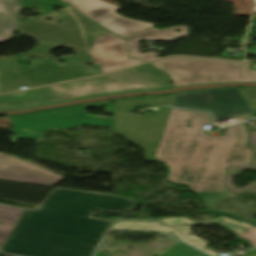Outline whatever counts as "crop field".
Masks as SVG:
<instances>
[{"mask_svg":"<svg viewBox=\"0 0 256 256\" xmlns=\"http://www.w3.org/2000/svg\"><path fill=\"white\" fill-rule=\"evenodd\" d=\"M209 121V114L172 108L154 157L167 165L168 180L189 185L209 212L256 225L254 219L215 208L229 196L224 185L226 167L251 163L253 152L245 148L246 127H226L223 136H209L203 129Z\"/></svg>","mask_w":256,"mask_h":256,"instance_id":"1","label":"crop field"},{"mask_svg":"<svg viewBox=\"0 0 256 256\" xmlns=\"http://www.w3.org/2000/svg\"><path fill=\"white\" fill-rule=\"evenodd\" d=\"M134 203L109 194L56 188L39 210L25 209L0 252L92 256L111 222L87 216L95 209H128Z\"/></svg>","mask_w":256,"mask_h":256,"instance_id":"2","label":"crop field"},{"mask_svg":"<svg viewBox=\"0 0 256 256\" xmlns=\"http://www.w3.org/2000/svg\"><path fill=\"white\" fill-rule=\"evenodd\" d=\"M69 84L67 87L57 84L0 96V109L36 107L105 93L172 88L164 74L147 64Z\"/></svg>","mask_w":256,"mask_h":256,"instance_id":"3","label":"crop field"},{"mask_svg":"<svg viewBox=\"0 0 256 256\" xmlns=\"http://www.w3.org/2000/svg\"><path fill=\"white\" fill-rule=\"evenodd\" d=\"M34 40L42 44L30 52L16 57H2V62H0L1 93L17 90L19 86H27L30 88L47 83L101 74V71L86 69L84 67V53L79 51L76 52L75 61H67L66 66H57L49 51L59 46L36 39ZM24 55L45 59L43 63H35L33 68L17 66L15 58ZM87 71L90 72L87 73Z\"/></svg>","mask_w":256,"mask_h":256,"instance_id":"4","label":"crop field"},{"mask_svg":"<svg viewBox=\"0 0 256 256\" xmlns=\"http://www.w3.org/2000/svg\"><path fill=\"white\" fill-rule=\"evenodd\" d=\"M251 63L174 57L150 63L168 73L175 87L200 83L256 82Z\"/></svg>","mask_w":256,"mask_h":256,"instance_id":"5","label":"crop field"},{"mask_svg":"<svg viewBox=\"0 0 256 256\" xmlns=\"http://www.w3.org/2000/svg\"><path fill=\"white\" fill-rule=\"evenodd\" d=\"M47 17L52 20H44ZM59 21L65 24L58 25ZM17 33L88 53L97 35L108 31L79 15L70 6L61 12H54L20 25Z\"/></svg>","mask_w":256,"mask_h":256,"instance_id":"6","label":"crop field"},{"mask_svg":"<svg viewBox=\"0 0 256 256\" xmlns=\"http://www.w3.org/2000/svg\"><path fill=\"white\" fill-rule=\"evenodd\" d=\"M175 94L150 96L146 99L128 98L114 100L115 133L143 146L148 157L154 160V152L159 142L170 107H159V112L145 116L131 117L128 113L141 105H171Z\"/></svg>","mask_w":256,"mask_h":256,"instance_id":"7","label":"crop field"},{"mask_svg":"<svg viewBox=\"0 0 256 256\" xmlns=\"http://www.w3.org/2000/svg\"><path fill=\"white\" fill-rule=\"evenodd\" d=\"M108 105V112L113 111V102L77 105L42 111L33 114L9 116L15 133H21L22 136H13L12 138H42V131L54 128H74L82 124L113 127L114 118H103L87 115L85 107ZM72 113V115H69ZM34 128V126H37ZM42 127V128H40Z\"/></svg>","mask_w":256,"mask_h":256,"instance_id":"8","label":"crop field"},{"mask_svg":"<svg viewBox=\"0 0 256 256\" xmlns=\"http://www.w3.org/2000/svg\"><path fill=\"white\" fill-rule=\"evenodd\" d=\"M174 106L207 111L213 114V121L242 116H255L238 88H216L183 92L177 95Z\"/></svg>","mask_w":256,"mask_h":256,"instance_id":"9","label":"crop field"},{"mask_svg":"<svg viewBox=\"0 0 256 256\" xmlns=\"http://www.w3.org/2000/svg\"><path fill=\"white\" fill-rule=\"evenodd\" d=\"M71 3L83 15L106 27L121 37H126L156 25L125 18L116 13L122 9L100 0H63Z\"/></svg>","mask_w":256,"mask_h":256,"instance_id":"10","label":"crop field"},{"mask_svg":"<svg viewBox=\"0 0 256 256\" xmlns=\"http://www.w3.org/2000/svg\"><path fill=\"white\" fill-rule=\"evenodd\" d=\"M125 39L111 33L100 35L95 40L90 55L105 73L143 63L142 59H129Z\"/></svg>","mask_w":256,"mask_h":256,"instance_id":"11","label":"crop field"},{"mask_svg":"<svg viewBox=\"0 0 256 256\" xmlns=\"http://www.w3.org/2000/svg\"><path fill=\"white\" fill-rule=\"evenodd\" d=\"M0 179L52 186L63 177L29 162L0 153Z\"/></svg>","mask_w":256,"mask_h":256,"instance_id":"12","label":"crop field"},{"mask_svg":"<svg viewBox=\"0 0 256 256\" xmlns=\"http://www.w3.org/2000/svg\"><path fill=\"white\" fill-rule=\"evenodd\" d=\"M180 29L182 32H175ZM187 27H173L163 31H159L155 28L143 31L141 33L126 37L129 39L128 46L130 50L131 57H141L146 61L156 59L158 53H140L138 40H153V41H174L179 38L190 35L191 33L187 32Z\"/></svg>","mask_w":256,"mask_h":256,"instance_id":"13","label":"crop field"},{"mask_svg":"<svg viewBox=\"0 0 256 256\" xmlns=\"http://www.w3.org/2000/svg\"><path fill=\"white\" fill-rule=\"evenodd\" d=\"M191 228H193V226L166 228L155 222H115V224L112 227V229L155 230V231L173 232V234L177 236L180 240L212 256H219L217 253L205 247L209 243L193 236L190 232Z\"/></svg>","mask_w":256,"mask_h":256,"instance_id":"14","label":"crop field"},{"mask_svg":"<svg viewBox=\"0 0 256 256\" xmlns=\"http://www.w3.org/2000/svg\"><path fill=\"white\" fill-rule=\"evenodd\" d=\"M20 8L17 0H0V41L12 36L18 24L16 15Z\"/></svg>","mask_w":256,"mask_h":256,"instance_id":"15","label":"crop field"},{"mask_svg":"<svg viewBox=\"0 0 256 256\" xmlns=\"http://www.w3.org/2000/svg\"><path fill=\"white\" fill-rule=\"evenodd\" d=\"M160 223H163L167 226H176V225H189V224H200V223H210V222H218L227 228L231 229L238 235L249 228L253 227L254 225L247 224L241 221H237L228 217H224L219 215L213 221L210 222H194L187 219V217H178V218H166V219H158L156 220Z\"/></svg>","mask_w":256,"mask_h":256,"instance_id":"16","label":"crop field"},{"mask_svg":"<svg viewBox=\"0 0 256 256\" xmlns=\"http://www.w3.org/2000/svg\"><path fill=\"white\" fill-rule=\"evenodd\" d=\"M23 211V208L0 205V249Z\"/></svg>","mask_w":256,"mask_h":256,"instance_id":"17","label":"crop field"},{"mask_svg":"<svg viewBox=\"0 0 256 256\" xmlns=\"http://www.w3.org/2000/svg\"><path fill=\"white\" fill-rule=\"evenodd\" d=\"M26 8H38L40 14L52 12L53 6L64 8L69 4H64L59 0H20Z\"/></svg>","mask_w":256,"mask_h":256,"instance_id":"18","label":"crop field"},{"mask_svg":"<svg viewBox=\"0 0 256 256\" xmlns=\"http://www.w3.org/2000/svg\"><path fill=\"white\" fill-rule=\"evenodd\" d=\"M201 252L179 242L161 256H198Z\"/></svg>","mask_w":256,"mask_h":256,"instance_id":"19","label":"crop field"},{"mask_svg":"<svg viewBox=\"0 0 256 256\" xmlns=\"http://www.w3.org/2000/svg\"><path fill=\"white\" fill-rule=\"evenodd\" d=\"M244 98L256 113V87H242L240 88Z\"/></svg>","mask_w":256,"mask_h":256,"instance_id":"20","label":"crop field"},{"mask_svg":"<svg viewBox=\"0 0 256 256\" xmlns=\"http://www.w3.org/2000/svg\"><path fill=\"white\" fill-rule=\"evenodd\" d=\"M240 237L250 241L252 243L253 247L256 248V227L241 234Z\"/></svg>","mask_w":256,"mask_h":256,"instance_id":"21","label":"crop field"},{"mask_svg":"<svg viewBox=\"0 0 256 256\" xmlns=\"http://www.w3.org/2000/svg\"><path fill=\"white\" fill-rule=\"evenodd\" d=\"M256 39V24L252 23L250 27L249 34L246 39V43H250ZM247 53L256 54V49L254 50H246Z\"/></svg>","mask_w":256,"mask_h":256,"instance_id":"22","label":"crop field"},{"mask_svg":"<svg viewBox=\"0 0 256 256\" xmlns=\"http://www.w3.org/2000/svg\"><path fill=\"white\" fill-rule=\"evenodd\" d=\"M96 256H105L100 250H98Z\"/></svg>","mask_w":256,"mask_h":256,"instance_id":"23","label":"crop field"}]
</instances>
